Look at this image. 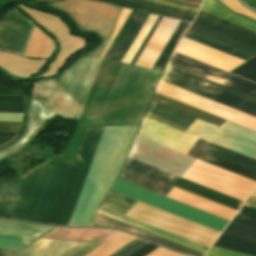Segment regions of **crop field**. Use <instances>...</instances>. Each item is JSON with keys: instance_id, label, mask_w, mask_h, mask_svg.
Instances as JSON below:
<instances>
[{"instance_id": "14", "label": "crop field", "mask_w": 256, "mask_h": 256, "mask_svg": "<svg viewBox=\"0 0 256 256\" xmlns=\"http://www.w3.org/2000/svg\"><path fill=\"white\" fill-rule=\"evenodd\" d=\"M179 22L162 18L135 65L152 69Z\"/></svg>"}, {"instance_id": "48", "label": "crop field", "mask_w": 256, "mask_h": 256, "mask_svg": "<svg viewBox=\"0 0 256 256\" xmlns=\"http://www.w3.org/2000/svg\"><path fill=\"white\" fill-rule=\"evenodd\" d=\"M137 1H141V2H145V3H149L152 5H156V6H160V7H164V8H168V9H172V10H177V11H182V12H186V13H190V14H196L195 12H190V11H185V10H180V9H176V8H172V7H168V6H164V5H160V4H155V3H151V2H146L143 0H137Z\"/></svg>"}, {"instance_id": "42", "label": "crop field", "mask_w": 256, "mask_h": 256, "mask_svg": "<svg viewBox=\"0 0 256 256\" xmlns=\"http://www.w3.org/2000/svg\"><path fill=\"white\" fill-rule=\"evenodd\" d=\"M148 15L145 14L144 18L142 19V21L140 22L139 26L137 27V29L135 30L134 34L132 35V37L130 38L129 42L127 43V45L125 46L124 50L122 51V53L120 54L119 58L117 59L118 62H121L123 56L125 55L126 51L128 50L129 46L131 45L132 41L134 40V38L136 37L137 33L139 32L140 28L142 27L143 23L145 22V20L147 19Z\"/></svg>"}, {"instance_id": "28", "label": "crop field", "mask_w": 256, "mask_h": 256, "mask_svg": "<svg viewBox=\"0 0 256 256\" xmlns=\"http://www.w3.org/2000/svg\"><path fill=\"white\" fill-rule=\"evenodd\" d=\"M186 24L187 23L180 22L179 26L177 27L176 31L174 32V34L171 37L170 41L168 42L167 46L165 47V49L163 50L159 59L157 60L156 64L154 65L153 70H157V71H161V72L163 71V68H164L166 62L176 45L177 38L180 35V33L182 32V30L184 29V27L186 26Z\"/></svg>"}, {"instance_id": "41", "label": "crop field", "mask_w": 256, "mask_h": 256, "mask_svg": "<svg viewBox=\"0 0 256 256\" xmlns=\"http://www.w3.org/2000/svg\"><path fill=\"white\" fill-rule=\"evenodd\" d=\"M24 105L0 104V112L22 113Z\"/></svg>"}, {"instance_id": "24", "label": "crop field", "mask_w": 256, "mask_h": 256, "mask_svg": "<svg viewBox=\"0 0 256 256\" xmlns=\"http://www.w3.org/2000/svg\"><path fill=\"white\" fill-rule=\"evenodd\" d=\"M120 179L155 191L157 193L163 194L165 196H167L170 193V191L174 188L173 186L162 183L147 176L141 175L126 168L123 170Z\"/></svg>"}, {"instance_id": "20", "label": "crop field", "mask_w": 256, "mask_h": 256, "mask_svg": "<svg viewBox=\"0 0 256 256\" xmlns=\"http://www.w3.org/2000/svg\"><path fill=\"white\" fill-rule=\"evenodd\" d=\"M44 62L45 60H28L23 57L0 52V66L20 77H29L38 72Z\"/></svg>"}, {"instance_id": "6", "label": "crop field", "mask_w": 256, "mask_h": 256, "mask_svg": "<svg viewBox=\"0 0 256 256\" xmlns=\"http://www.w3.org/2000/svg\"><path fill=\"white\" fill-rule=\"evenodd\" d=\"M112 190L219 232H221L228 223L226 220L220 219L120 179Z\"/></svg>"}, {"instance_id": "34", "label": "crop field", "mask_w": 256, "mask_h": 256, "mask_svg": "<svg viewBox=\"0 0 256 256\" xmlns=\"http://www.w3.org/2000/svg\"><path fill=\"white\" fill-rule=\"evenodd\" d=\"M99 210L104 211V212H107V213L112 214V215H114V216L120 217V218L125 219V220H127V221L133 222V223L138 224V225H140V226L146 227V228L151 229V230H153V231H156V232H158V233L164 234V235L169 236V237H171V238L177 239V240H179V241H182V242H184V243L190 244V245H192V246H195V247H197V248H200V249H203V250L207 251V248H205V247L199 246V245H197V244H194V243L189 242V241H187V240L181 239V238L176 237V236H174V235H171V234H169V233H166V232H163V231L158 230V229H156V228L150 227V226H148V225H145V224L140 223V222H138V221L132 220V219H130V218H127V217L122 216V215H120V214H117V213H115V212L109 211V210L104 209V208H102V207H100Z\"/></svg>"}, {"instance_id": "37", "label": "crop field", "mask_w": 256, "mask_h": 256, "mask_svg": "<svg viewBox=\"0 0 256 256\" xmlns=\"http://www.w3.org/2000/svg\"><path fill=\"white\" fill-rule=\"evenodd\" d=\"M20 126L21 122L0 121V131L3 132H18Z\"/></svg>"}, {"instance_id": "23", "label": "crop field", "mask_w": 256, "mask_h": 256, "mask_svg": "<svg viewBox=\"0 0 256 256\" xmlns=\"http://www.w3.org/2000/svg\"><path fill=\"white\" fill-rule=\"evenodd\" d=\"M45 35L34 27L24 55L37 58H49L54 51V44L52 40Z\"/></svg>"}, {"instance_id": "5", "label": "crop field", "mask_w": 256, "mask_h": 256, "mask_svg": "<svg viewBox=\"0 0 256 256\" xmlns=\"http://www.w3.org/2000/svg\"><path fill=\"white\" fill-rule=\"evenodd\" d=\"M161 81L256 117V98L167 66Z\"/></svg>"}, {"instance_id": "43", "label": "crop field", "mask_w": 256, "mask_h": 256, "mask_svg": "<svg viewBox=\"0 0 256 256\" xmlns=\"http://www.w3.org/2000/svg\"><path fill=\"white\" fill-rule=\"evenodd\" d=\"M157 247L158 246L148 243L142 248H140L139 250H137L136 252H134L133 254H131L130 256H145L151 251H153L154 249H156Z\"/></svg>"}, {"instance_id": "47", "label": "crop field", "mask_w": 256, "mask_h": 256, "mask_svg": "<svg viewBox=\"0 0 256 256\" xmlns=\"http://www.w3.org/2000/svg\"><path fill=\"white\" fill-rule=\"evenodd\" d=\"M251 197H255L256 198V189L252 193ZM251 197L248 198V200L245 202L244 206L256 208V199L255 198H251Z\"/></svg>"}, {"instance_id": "36", "label": "crop field", "mask_w": 256, "mask_h": 256, "mask_svg": "<svg viewBox=\"0 0 256 256\" xmlns=\"http://www.w3.org/2000/svg\"><path fill=\"white\" fill-rule=\"evenodd\" d=\"M205 256H250V255L212 246Z\"/></svg>"}, {"instance_id": "52", "label": "crop field", "mask_w": 256, "mask_h": 256, "mask_svg": "<svg viewBox=\"0 0 256 256\" xmlns=\"http://www.w3.org/2000/svg\"><path fill=\"white\" fill-rule=\"evenodd\" d=\"M17 133H3V132H0V135L1 136H16Z\"/></svg>"}, {"instance_id": "21", "label": "crop field", "mask_w": 256, "mask_h": 256, "mask_svg": "<svg viewBox=\"0 0 256 256\" xmlns=\"http://www.w3.org/2000/svg\"><path fill=\"white\" fill-rule=\"evenodd\" d=\"M154 102L162 104V105L172 108L174 110L180 111L187 115L193 116L195 118H198V119L208 122L210 124L216 125L218 127H220L222 125V123L225 121L222 118L216 117L214 115H211L209 113L203 112L196 108L190 107L188 105H185L178 101L172 100L165 96L159 95L157 93L155 95Z\"/></svg>"}, {"instance_id": "7", "label": "crop field", "mask_w": 256, "mask_h": 256, "mask_svg": "<svg viewBox=\"0 0 256 256\" xmlns=\"http://www.w3.org/2000/svg\"><path fill=\"white\" fill-rule=\"evenodd\" d=\"M182 178L244 201L256 186V182L226 171L201 160L185 172Z\"/></svg>"}, {"instance_id": "15", "label": "crop field", "mask_w": 256, "mask_h": 256, "mask_svg": "<svg viewBox=\"0 0 256 256\" xmlns=\"http://www.w3.org/2000/svg\"><path fill=\"white\" fill-rule=\"evenodd\" d=\"M168 197L193 206L195 208L201 209L223 219L230 221L236 210L228 208L226 206L220 205L218 203L212 202L205 198L199 197L197 195L191 194L189 192L183 191L178 188H174Z\"/></svg>"}, {"instance_id": "25", "label": "crop field", "mask_w": 256, "mask_h": 256, "mask_svg": "<svg viewBox=\"0 0 256 256\" xmlns=\"http://www.w3.org/2000/svg\"><path fill=\"white\" fill-rule=\"evenodd\" d=\"M214 246L256 256V241L222 233Z\"/></svg>"}, {"instance_id": "17", "label": "crop field", "mask_w": 256, "mask_h": 256, "mask_svg": "<svg viewBox=\"0 0 256 256\" xmlns=\"http://www.w3.org/2000/svg\"><path fill=\"white\" fill-rule=\"evenodd\" d=\"M146 117L189 133L195 118L152 102Z\"/></svg>"}, {"instance_id": "50", "label": "crop field", "mask_w": 256, "mask_h": 256, "mask_svg": "<svg viewBox=\"0 0 256 256\" xmlns=\"http://www.w3.org/2000/svg\"><path fill=\"white\" fill-rule=\"evenodd\" d=\"M12 138H14V137H1L0 136V145L7 143Z\"/></svg>"}, {"instance_id": "1", "label": "crop field", "mask_w": 256, "mask_h": 256, "mask_svg": "<svg viewBox=\"0 0 256 256\" xmlns=\"http://www.w3.org/2000/svg\"><path fill=\"white\" fill-rule=\"evenodd\" d=\"M103 59L84 56L59 82L34 85L21 138L0 150V160L25 147L56 113L78 118ZM161 73L103 60L78 118L79 126L138 124Z\"/></svg>"}, {"instance_id": "38", "label": "crop field", "mask_w": 256, "mask_h": 256, "mask_svg": "<svg viewBox=\"0 0 256 256\" xmlns=\"http://www.w3.org/2000/svg\"><path fill=\"white\" fill-rule=\"evenodd\" d=\"M25 96L0 95V103L24 104Z\"/></svg>"}, {"instance_id": "53", "label": "crop field", "mask_w": 256, "mask_h": 256, "mask_svg": "<svg viewBox=\"0 0 256 256\" xmlns=\"http://www.w3.org/2000/svg\"><path fill=\"white\" fill-rule=\"evenodd\" d=\"M189 1L198 2V3L201 2V1H199V0H189Z\"/></svg>"}, {"instance_id": "44", "label": "crop field", "mask_w": 256, "mask_h": 256, "mask_svg": "<svg viewBox=\"0 0 256 256\" xmlns=\"http://www.w3.org/2000/svg\"><path fill=\"white\" fill-rule=\"evenodd\" d=\"M147 256H185V255L173 253V252H170L166 249L159 247L156 250H154L153 252H151L150 254H148Z\"/></svg>"}, {"instance_id": "8", "label": "crop field", "mask_w": 256, "mask_h": 256, "mask_svg": "<svg viewBox=\"0 0 256 256\" xmlns=\"http://www.w3.org/2000/svg\"><path fill=\"white\" fill-rule=\"evenodd\" d=\"M24 11L30 14L43 28L50 31L58 40L61 50L57 55V59L50 64L49 70L36 78L48 77L54 75L66 62V60L75 52L82 50L86 42L83 39L69 35L66 25L61 19L40 13L18 4ZM29 15V16H30Z\"/></svg>"}, {"instance_id": "12", "label": "crop field", "mask_w": 256, "mask_h": 256, "mask_svg": "<svg viewBox=\"0 0 256 256\" xmlns=\"http://www.w3.org/2000/svg\"><path fill=\"white\" fill-rule=\"evenodd\" d=\"M34 25L15 9L6 14L0 25V49L24 54Z\"/></svg>"}, {"instance_id": "10", "label": "crop field", "mask_w": 256, "mask_h": 256, "mask_svg": "<svg viewBox=\"0 0 256 256\" xmlns=\"http://www.w3.org/2000/svg\"><path fill=\"white\" fill-rule=\"evenodd\" d=\"M125 167L131 170L137 171L139 173L145 174L147 176L153 177L155 179L161 180L163 182L169 183L171 185L177 178V176L175 175H172L170 173H167L165 171H162L160 169H157L155 167H152L150 165H147L145 163H142L132 158H128ZM173 185L179 188L185 189L187 191H190L192 193H195L197 195L203 196L205 198H208L210 200L221 203L228 207L234 208L236 210H238V208L242 204V201L240 200L234 199L232 197H229L219 192L205 188L198 184L184 180L180 177L177 178V180L174 182Z\"/></svg>"}, {"instance_id": "40", "label": "crop field", "mask_w": 256, "mask_h": 256, "mask_svg": "<svg viewBox=\"0 0 256 256\" xmlns=\"http://www.w3.org/2000/svg\"><path fill=\"white\" fill-rule=\"evenodd\" d=\"M232 222H236V223H240V224H244V225H248V226L256 228V219H254V218L236 214V216L233 218Z\"/></svg>"}, {"instance_id": "19", "label": "crop field", "mask_w": 256, "mask_h": 256, "mask_svg": "<svg viewBox=\"0 0 256 256\" xmlns=\"http://www.w3.org/2000/svg\"><path fill=\"white\" fill-rule=\"evenodd\" d=\"M188 32L199 35L201 37L207 38L209 40L215 41L217 43L223 44L225 46L231 47L233 49L239 50L241 52L247 53L249 55H256V46L245 43L213 29L207 28L197 23H193Z\"/></svg>"}, {"instance_id": "29", "label": "crop field", "mask_w": 256, "mask_h": 256, "mask_svg": "<svg viewBox=\"0 0 256 256\" xmlns=\"http://www.w3.org/2000/svg\"><path fill=\"white\" fill-rule=\"evenodd\" d=\"M184 37L189 38L191 40H194L196 42H199L201 44H204L206 46H209L211 48L217 49L219 51H222L224 53H227L229 55H232V56L237 57L239 59H242L244 61H246V60H248L249 58L252 57V56H249L247 54L241 53L239 51L233 50L231 48L225 47L223 45L217 44L215 42L209 41L207 39L201 38L199 36L193 35V34L188 33V32L185 33Z\"/></svg>"}, {"instance_id": "13", "label": "crop field", "mask_w": 256, "mask_h": 256, "mask_svg": "<svg viewBox=\"0 0 256 256\" xmlns=\"http://www.w3.org/2000/svg\"><path fill=\"white\" fill-rule=\"evenodd\" d=\"M100 244L40 239L16 256H84Z\"/></svg>"}, {"instance_id": "18", "label": "crop field", "mask_w": 256, "mask_h": 256, "mask_svg": "<svg viewBox=\"0 0 256 256\" xmlns=\"http://www.w3.org/2000/svg\"><path fill=\"white\" fill-rule=\"evenodd\" d=\"M97 225H103V226H109V227H116L122 230L133 232L139 236H142L144 238H147L151 241H154L158 244H161L165 247L172 248L175 250L187 252L196 256H203V253L195 251L193 249L187 248L185 246L179 245L177 243H174L172 241L166 240L164 238L158 237L156 235L150 234L148 232H145L143 230L137 229L135 227L129 226L127 224H124L122 222L116 221L114 219L108 218L106 216L100 215L97 213L95 223Z\"/></svg>"}, {"instance_id": "11", "label": "crop field", "mask_w": 256, "mask_h": 256, "mask_svg": "<svg viewBox=\"0 0 256 256\" xmlns=\"http://www.w3.org/2000/svg\"><path fill=\"white\" fill-rule=\"evenodd\" d=\"M169 65L256 97V84L209 67L184 56L178 55L176 53L173 54Z\"/></svg>"}, {"instance_id": "16", "label": "crop field", "mask_w": 256, "mask_h": 256, "mask_svg": "<svg viewBox=\"0 0 256 256\" xmlns=\"http://www.w3.org/2000/svg\"><path fill=\"white\" fill-rule=\"evenodd\" d=\"M195 22L256 45V33L215 16L199 12Z\"/></svg>"}, {"instance_id": "26", "label": "crop field", "mask_w": 256, "mask_h": 256, "mask_svg": "<svg viewBox=\"0 0 256 256\" xmlns=\"http://www.w3.org/2000/svg\"><path fill=\"white\" fill-rule=\"evenodd\" d=\"M134 239L135 237L120 232L86 256H109Z\"/></svg>"}, {"instance_id": "49", "label": "crop field", "mask_w": 256, "mask_h": 256, "mask_svg": "<svg viewBox=\"0 0 256 256\" xmlns=\"http://www.w3.org/2000/svg\"><path fill=\"white\" fill-rule=\"evenodd\" d=\"M17 251H11L6 249H0V256H13Z\"/></svg>"}, {"instance_id": "2", "label": "crop field", "mask_w": 256, "mask_h": 256, "mask_svg": "<svg viewBox=\"0 0 256 256\" xmlns=\"http://www.w3.org/2000/svg\"><path fill=\"white\" fill-rule=\"evenodd\" d=\"M103 128L86 129L74 161L58 155L0 182V217L71 225Z\"/></svg>"}, {"instance_id": "30", "label": "crop field", "mask_w": 256, "mask_h": 256, "mask_svg": "<svg viewBox=\"0 0 256 256\" xmlns=\"http://www.w3.org/2000/svg\"><path fill=\"white\" fill-rule=\"evenodd\" d=\"M138 15H139L138 12L132 11L131 15L129 16L128 20L126 21L125 25L121 29L120 33L118 34L117 38L111 45L110 49L108 50L104 58L112 60L114 54L116 53L117 49L119 48L120 44L122 43L123 39L127 35L128 31L130 30L131 26L133 25Z\"/></svg>"}, {"instance_id": "27", "label": "crop field", "mask_w": 256, "mask_h": 256, "mask_svg": "<svg viewBox=\"0 0 256 256\" xmlns=\"http://www.w3.org/2000/svg\"><path fill=\"white\" fill-rule=\"evenodd\" d=\"M97 1L108 2V3L120 5V6H123V7H127V8H130V9L138 10V11H143V12L162 15V16H167V17H172V18H176V19H179V20L189 21V22H192V20H193L192 17L182 16V15H178V14H174V13H170V12H166V11H162V10H158V9H154V8H150V7H146V6H142V5L122 1V0H97Z\"/></svg>"}, {"instance_id": "54", "label": "crop field", "mask_w": 256, "mask_h": 256, "mask_svg": "<svg viewBox=\"0 0 256 256\" xmlns=\"http://www.w3.org/2000/svg\"><path fill=\"white\" fill-rule=\"evenodd\" d=\"M0 23H1V21H0Z\"/></svg>"}, {"instance_id": "31", "label": "crop field", "mask_w": 256, "mask_h": 256, "mask_svg": "<svg viewBox=\"0 0 256 256\" xmlns=\"http://www.w3.org/2000/svg\"><path fill=\"white\" fill-rule=\"evenodd\" d=\"M224 233L256 240V229L248 226L236 224L230 222L227 228L224 230Z\"/></svg>"}, {"instance_id": "39", "label": "crop field", "mask_w": 256, "mask_h": 256, "mask_svg": "<svg viewBox=\"0 0 256 256\" xmlns=\"http://www.w3.org/2000/svg\"><path fill=\"white\" fill-rule=\"evenodd\" d=\"M144 16L143 13H140L139 17L137 18L136 22L134 23V25L132 26L131 30L129 31L128 35L126 36L125 40L123 41V43L121 44L120 48L118 49L116 55L114 56L113 60L116 61L117 57L119 56V54L121 53L122 49L124 48V46L126 45L127 41L129 40V38L131 37L132 33L134 32V30L136 29L137 25L139 24V22L141 21L142 17Z\"/></svg>"}, {"instance_id": "35", "label": "crop field", "mask_w": 256, "mask_h": 256, "mask_svg": "<svg viewBox=\"0 0 256 256\" xmlns=\"http://www.w3.org/2000/svg\"><path fill=\"white\" fill-rule=\"evenodd\" d=\"M146 243L148 242L137 238L131 243H129L128 245H126L125 247H123L122 249L112 254L111 256H128L134 251H136L137 249H139L140 247H142L143 245H145Z\"/></svg>"}, {"instance_id": "33", "label": "crop field", "mask_w": 256, "mask_h": 256, "mask_svg": "<svg viewBox=\"0 0 256 256\" xmlns=\"http://www.w3.org/2000/svg\"><path fill=\"white\" fill-rule=\"evenodd\" d=\"M126 1L134 2V3H138V4H142V5H146V6H150V7H154V8H158V9H162V10H166V11H170V12H174V13L186 14V13H182V12L172 11V10H168V9H164V8H160V7H156V6H152V5H148V4L137 2V1H133V0H126ZM147 1L156 2V3H160V4H164V5L180 8V9L195 11V12H197L198 9H199V8H196V7H192V6H197V5L188 4V3H184V2H180V1H176V0H168V1L176 2V3H181V4L192 5V6L170 3V2L163 1V0H147ZM197 7H199V6H197ZM186 15H190V14H186ZM191 16H194V15H191Z\"/></svg>"}, {"instance_id": "3", "label": "crop field", "mask_w": 256, "mask_h": 256, "mask_svg": "<svg viewBox=\"0 0 256 256\" xmlns=\"http://www.w3.org/2000/svg\"><path fill=\"white\" fill-rule=\"evenodd\" d=\"M139 136L165 145L185 154L197 142L198 138L144 118ZM188 155L217 165L239 175L256 181V160L201 139L189 151Z\"/></svg>"}, {"instance_id": "4", "label": "crop field", "mask_w": 256, "mask_h": 256, "mask_svg": "<svg viewBox=\"0 0 256 256\" xmlns=\"http://www.w3.org/2000/svg\"><path fill=\"white\" fill-rule=\"evenodd\" d=\"M139 201L111 191L102 207L129 217ZM130 218L209 248L219 232L141 203Z\"/></svg>"}, {"instance_id": "46", "label": "crop field", "mask_w": 256, "mask_h": 256, "mask_svg": "<svg viewBox=\"0 0 256 256\" xmlns=\"http://www.w3.org/2000/svg\"><path fill=\"white\" fill-rule=\"evenodd\" d=\"M238 214L256 218V209L242 206V208L239 210Z\"/></svg>"}, {"instance_id": "45", "label": "crop field", "mask_w": 256, "mask_h": 256, "mask_svg": "<svg viewBox=\"0 0 256 256\" xmlns=\"http://www.w3.org/2000/svg\"><path fill=\"white\" fill-rule=\"evenodd\" d=\"M161 18L158 17L157 21L155 22L154 26L152 27L151 31L149 32L148 36L146 37L145 41L141 45L140 49L138 50L137 54L135 55L134 59L132 60L131 64L134 65L135 61L137 60L138 56L140 55L141 51L143 50L144 46L146 45L147 41L151 37L152 33L154 32L155 28L157 27L158 23L160 22Z\"/></svg>"}, {"instance_id": "22", "label": "crop field", "mask_w": 256, "mask_h": 256, "mask_svg": "<svg viewBox=\"0 0 256 256\" xmlns=\"http://www.w3.org/2000/svg\"><path fill=\"white\" fill-rule=\"evenodd\" d=\"M200 10L256 32V22L230 12L215 0H204Z\"/></svg>"}, {"instance_id": "9", "label": "crop field", "mask_w": 256, "mask_h": 256, "mask_svg": "<svg viewBox=\"0 0 256 256\" xmlns=\"http://www.w3.org/2000/svg\"><path fill=\"white\" fill-rule=\"evenodd\" d=\"M158 88V89H157ZM156 92L256 131V118L159 81Z\"/></svg>"}, {"instance_id": "32", "label": "crop field", "mask_w": 256, "mask_h": 256, "mask_svg": "<svg viewBox=\"0 0 256 256\" xmlns=\"http://www.w3.org/2000/svg\"><path fill=\"white\" fill-rule=\"evenodd\" d=\"M231 72L256 82V57L252 58Z\"/></svg>"}, {"instance_id": "51", "label": "crop field", "mask_w": 256, "mask_h": 256, "mask_svg": "<svg viewBox=\"0 0 256 256\" xmlns=\"http://www.w3.org/2000/svg\"><path fill=\"white\" fill-rule=\"evenodd\" d=\"M248 5L256 9V0H244Z\"/></svg>"}]
</instances>
